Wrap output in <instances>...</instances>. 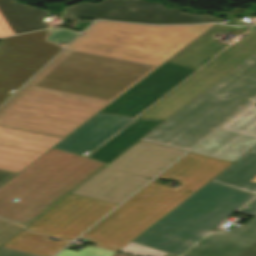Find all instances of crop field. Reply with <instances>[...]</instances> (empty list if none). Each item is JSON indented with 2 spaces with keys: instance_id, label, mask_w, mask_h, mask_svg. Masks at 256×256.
<instances>
[{
  "instance_id": "13",
  "label": "crop field",
  "mask_w": 256,
  "mask_h": 256,
  "mask_svg": "<svg viewBox=\"0 0 256 256\" xmlns=\"http://www.w3.org/2000/svg\"><path fill=\"white\" fill-rule=\"evenodd\" d=\"M183 153L139 141L108 166L151 179Z\"/></svg>"
},
{
  "instance_id": "10",
  "label": "crop field",
  "mask_w": 256,
  "mask_h": 256,
  "mask_svg": "<svg viewBox=\"0 0 256 256\" xmlns=\"http://www.w3.org/2000/svg\"><path fill=\"white\" fill-rule=\"evenodd\" d=\"M195 70L166 61L100 112L135 117Z\"/></svg>"
},
{
  "instance_id": "18",
  "label": "crop field",
  "mask_w": 256,
  "mask_h": 256,
  "mask_svg": "<svg viewBox=\"0 0 256 256\" xmlns=\"http://www.w3.org/2000/svg\"><path fill=\"white\" fill-rule=\"evenodd\" d=\"M248 28L250 27L234 28L216 24L192 43L179 51L177 54H175L173 57H171L169 61L195 67L206 58L213 57L224 47H226V45L216 42L217 38L213 36L214 33H221L227 29L231 31H239L238 34H241Z\"/></svg>"
},
{
  "instance_id": "2",
  "label": "crop field",
  "mask_w": 256,
  "mask_h": 256,
  "mask_svg": "<svg viewBox=\"0 0 256 256\" xmlns=\"http://www.w3.org/2000/svg\"><path fill=\"white\" fill-rule=\"evenodd\" d=\"M253 196L209 181L132 242L178 256H256V199L239 211L254 216L242 228L211 231Z\"/></svg>"
},
{
  "instance_id": "6",
  "label": "crop field",
  "mask_w": 256,
  "mask_h": 256,
  "mask_svg": "<svg viewBox=\"0 0 256 256\" xmlns=\"http://www.w3.org/2000/svg\"><path fill=\"white\" fill-rule=\"evenodd\" d=\"M254 51H256V30L239 43H234L223 51L139 117L160 120L167 119Z\"/></svg>"
},
{
  "instance_id": "12",
  "label": "crop field",
  "mask_w": 256,
  "mask_h": 256,
  "mask_svg": "<svg viewBox=\"0 0 256 256\" xmlns=\"http://www.w3.org/2000/svg\"><path fill=\"white\" fill-rule=\"evenodd\" d=\"M61 140L0 126V169L18 173Z\"/></svg>"
},
{
  "instance_id": "21",
  "label": "crop field",
  "mask_w": 256,
  "mask_h": 256,
  "mask_svg": "<svg viewBox=\"0 0 256 256\" xmlns=\"http://www.w3.org/2000/svg\"><path fill=\"white\" fill-rule=\"evenodd\" d=\"M48 238L49 237L24 230L10 241H8L6 244H4L3 247L42 256H51L67 243H69L68 241L64 240L56 242Z\"/></svg>"
},
{
  "instance_id": "16",
  "label": "crop field",
  "mask_w": 256,
  "mask_h": 256,
  "mask_svg": "<svg viewBox=\"0 0 256 256\" xmlns=\"http://www.w3.org/2000/svg\"><path fill=\"white\" fill-rule=\"evenodd\" d=\"M230 164L231 162L189 153L155 180L174 179L180 185L178 189L194 193Z\"/></svg>"
},
{
  "instance_id": "22",
  "label": "crop field",
  "mask_w": 256,
  "mask_h": 256,
  "mask_svg": "<svg viewBox=\"0 0 256 256\" xmlns=\"http://www.w3.org/2000/svg\"><path fill=\"white\" fill-rule=\"evenodd\" d=\"M120 252H124V253H129V254H134V255H138V256H174V255H170L158 250H154L142 245H138L135 243L130 242L129 244H127L125 247H123L121 250H119Z\"/></svg>"
},
{
  "instance_id": "27",
  "label": "crop field",
  "mask_w": 256,
  "mask_h": 256,
  "mask_svg": "<svg viewBox=\"0 0 256 256\" xmlns=\"http://www.w3.org/2000/svg\"><path fill=\"white\" fill-rule=\"evenodd\" d=\"M13 35L12 31L10 30L9 26L5 22L4 18L0 14V37Z\"/></svg>"
},
{
  "instance_id": "3",
  "label": "crop field",
  "mask_w": 256,
  "mask_h": 256,
  "mask_svg": "<svg viewBox=\"0 0 256 256\" xmlns=\"http://www.w3.org/2000/svg\"><path fill=\"white\" fill-rule=\"evenodd\" d=\"M256 98V52L141 141L187 151Z\"/></svg>"
},
{
  "instance_id": "20",
  "label": "crop field",
  "mask_w": 256,
  "mask_h": 256,
  "mask_svg": "<svg viewBox=\"0 0 256 256\" xmlns=\"http://www.w3.org/2000/svg\"><path fill=\"white\" fill-rule=\"evenodd\" d=\"M0 12L15 34L48 28L42 22L47 12L14 0H0Z\"/></svg>"
},
{
  "instance_id": "17",
  "label": "crop field",
  "mask_w": 256,
  "mask_h": 256,
  "mask_svg": "<svg viewBox=\"0 0 256 256\" xmlns=\"http://www.w3.org/2000/svg\"><path fill=\"white\" fill-rule=\"evenodd\" d=\"M161 122L163 121L136 118L130 125L126 126L110 141L99 147L88 158L110 163Z\"/></svg>"
},
{
  "instance_id": "4",
  "label": "crop field",
  "mask_w": 256,
  "mask_h": 256,
  "mask_svg": "<svg viewBox=\"0 0 256 256\" xmlns=\"http://www.w3.org/2000/svg\"><path fill=\"white\" fill-rule=\"evenodd\" d=\"M104 165L52 148L0 187V217L26 225Z\"/></svg>"
},
{
  "instance_id": "28",
  "label": "crop field",
  "mask_w": 256,
  "mask_h": 256,
  "mask_svg": "<svg viewBox=\"0 0 256 256\" xmlns=\"http://www.w3.org/2000/svg\"><path fill=\"white\" fill-rule=\"evenodd\" d=\"M14 175L16 174L0 170V186L8 181L10 178H12Z\"/></svg>"
},
{
  "instance_id": "19",
  "label": "crop field",
  "mask_w": 256,
  "mask_h": 256,
  "mask_svg": "<svg viewBox=\"0 0 256 256\" xmlns=\"http://www.w3.org/2000/svg\"><path fill=\"white\" fill-rule=\"evenodd\" d=\"M211 181L256 194V146Z\"/></svg>"
},
{
  "instance_id": "5",
  "label": "crop field",
  "mask_w": 256,
  "mask_h": 256,
  "mask_svg": "<svg viewBox=\"0 0 256 256\" xmlns=\"http://www.w3.org/2000/svg\"><path fill=\"white\" fill-rule=\"evenodd\" d=\"M190 195L152 181L80 238L118 251Z\"/></svg>"
},
{
  "instance_id": "1",
  "label": "crop field",
  "mask_w": 256,
  "mask_h": 256,
  "mask_svg": "<svg viewBox=\"0 0 256 256\" xmlns=\"http://www.w3.org/2000/svg\"><path fill=\"white\" fill-rule=\"evenodd\" d=\"M213 25L94 22L0 107V125L65 138Z\"/></svg>"
},
{
  "instance_id": "15",
  "label": "crop field",
  "mask_w": 256,
  "mask_h": 256,
  "mask_svg": "<svg viewBox=\"0 0 256 256\" xmlns=\"http://www.w3.org/2000/svg\"><path fill=\"white\" fill-rule=\"evenodd\" d=\"M132 119L131 117L98 113L54 146V148L79 155L85 150L92 151Z\"/></svg>"
},
{
  "instance_id": "29",
  "label": "crop field",
  "mask_w": 256,
  "mask_h": 256,
  "mask_svg": "<svg viewBox=\"0 0 256 256\" xmlns=\"http://www.w3.org/2000/svg\"><path fill=\"white\" fill-rule=\"evenodd\" d=\"M112 256H126V255H122V254L115 253V254L112 255Z\"/></svg>"
},
{
  "instance_id": "11",
  "label": "crop field",
  "mask_w": 256,
  "mask_h": 256,
  "mask_svg": "<svg viewBox=\"0 0 256 256\" xmlns=\"http://www.w3.org/2000/svg\"><path fill=\"white\" fill-rule=\"evenodd\" d=\"M256 145V102L208 137L192 153L234 162Z\"/></svg>"
},
{
  "instance_id": "25",
  "label": "crop field",
  "mask_w": 256,
  "mask_h": 256,
  "mask_svg": "<svg viewBox=\"0 0 256 256\" xmlns=\"http://www.w3.org/2000/svg\"><path fill=\"white\" fill-rule=\"evenodd\" d=\"M78 33L67 31V30H51L47 41H52L61 44L62 42L68 43Z\"/></svg>"
},
{
  "instance_id": "7",
  "label": "crop field",
  "mask_w": 256,
  "mask_h": 256,
  "mask_svg": "<svg viewBox=\"0 0 256 256\" xmlns=\"http://www.w3.org/2000/svg\"><path fill=\"white\" fill-rule=\"evenodd\" d=\"M47 30L2 38L0 45V104L62 48L47 43Z\"/></svg>"
},
{
  "instance_id": "14",
  "label": "crop field",
  "mask_w": 256,
  "mask_h": 256,
  "mask_svg": "<svg viewBox=\"0 0 256 256\" xmlns=\"http://www.w3.org/2000/svg\"><path fill=\"white\" fill-rule=\"evenodd\" d=\"M148 181L106 166L72 193L118 204Z\"/></svg>"
},
{
  "instance_id": "23",
  "label": "crop field",
  "mask_w": 256,
  "mask_h": 256,
  "mask_svg": "<svg viewBox=\"0 0 256 256\" xmlns=\"http://www.w3.org/2000/svg\"><path fill=\"white\" fill-rule=\"evenodd\" d=\"M114 253L115 252L87 246L78 252H74L65 248L57 256H111Z\"/></svg>"
},
{
  "instance_id": "8",
  "label": "crop field",
  "mask_w": 256,
  "mask_h": 256,
  "mask_svg": "<svg viewBox=\"0 0 256 256\" xmlns=\"http://www.w3.org/2000/svg\"><path fill=\"white\" fill-rule=\"evenodd\" d=\"M65 19L100 18L149 24L218 22L208 14L190 15L177 9H166L157 2L144 0H102L91 4L83 2L66 8Z\"/></svg>"
},
{
  "instance_id": "9",
  "label": "crop field",
  "mask_w": 256,
  "mask_h": 256,
  "mask_svg": "<svg viewBox=\"0 0 256 256\" xmlns=\"http://www.w3.org/2000/svg\"><path fill=\"white\" fill-rule=\"evenodd\" d=\"M114 206L116 205L70 194L27 228L73 240Z\"/></svg>"
},
{
  "instance_id": "26",
  "label": "crop field",
  "mask_w": 256,
  "mask_h": 256,
  "mask_svg": "<svg viewBox=\"0 0 256 256\" xmlns=\"http://www.w3.org/2000/svg\"><path fill=\"white\" fill-rule=\"evenodd\" d=\"M0 256H37V255L0 247Z\"/></svg>"
},
{
  "instance_id": "24",
  "label": "crop field",
  "mask_w": 256,
  "mask_h": 256,
  "mask_svg": "<svg viewBox=\"0 0 256 256\" xmlns=\"http://www.w3.org/2000/svg\"><path fill=\"white\" fill-rule=\"evenodd\" d=\"M24 229L11 221L0 218V245Z\"/></svg>"
}]
</instances>
